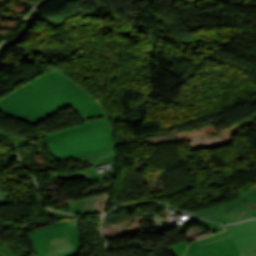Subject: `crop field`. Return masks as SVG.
Returning <instances> with one entry per match:
<instances>
[{
    "instance_id": "obj_1",
    "label": "crop field",
    "mask_w": 256,
    "mask_h": 256,
    "mask_svg": "<svg viewBox=\"0 0 256 256\" xmlns=\"http://www.w3.org/2000/svg\"><path fill=\"white\" fill-rule=\"evenodd\" d=\"M96 100L54 68L2 98L0 111L35 126L70 106L86 123L43 135L50 154L64 162L116 149L108 116Z\"/></svg>"
},
{
    "instance_id": "obj_2",
    "label": "crop field",
    "mask_w": 256,
    "mask_h": 256,
    "mask_svg": "<svg viewBox=\"0 0 256 256\" xmlns=\"http://www.w3.org/2000/svg\"><path fill=\"white\" fill-rule=\"evenodd\" d=\"M26 236L37 256H77L81 249L76 220L59 222L26 233Z\"/></svg>"
},
{
    "instance_id": "obj_3",
    "label": "crop field",
    "mask_w": 256,
    "mask_h": 256,
    "mask_svg": "<svg viewBox=\"0 0 256 256\" xmlns=\"http://www.w3.org/2000/svg\"><path fill=\"white\" fill-rule=\"evenodd\" d=\"M72 159L91 164V165H93V167L108 162L112 167L111 175L113 177L116 176V170H115L116 150L110 151V152L86 155V156H81V157H75ZM52 177L59 178V179H86L88 184H98V183H102V182H109L110 180H112L109 177L107 172L96 175L94 173V170H87L85 172L74 173V174H70L68 176L53 175Z\"/></svg>"
},
{
    "instance_id": "obj_4",
    "label": "crop field",
    "mask_w": 256,
    "mask_h": 256,
    "mask_svg": "<svg viewBox=\"0 0 256 256\" xmlns=\"http://www.w3.org/2000/svg\"><path fill=\"white\" fill-rule=\"evenodd\" d=\"M184 256H240L231 236L200 246L190 243Z\"/></svg>"
},
{
    "instance_id": "obj_5",
    "label": "crop field",
    "mask_w": 256,
    "mask_h": 256,
    "mask_svg": "<svg viewBox=\"0 0 256 256\" xmlns=\"http://www.w3.org/2000/svg\"><path fill=\"white\" fill-rule=\"evenodd\" d=\"M238 199L206 209L193 211L192 214L212 221L230 211H233L250 202L256 203V185L237 193Z\"/></svg>"
},
{
    "instance_id": "obj_6",
    "label": "crop field",
    "mask_w": 256,
    "mask_h": 256,
    "mask_svg": "<svg viewBox=\"0 0 256 256\" xmlns=\"http://www.w3.org/2000/svg\"><path fill=\"white\" fill-rule=\"evenodd\" d=\"M224 227L231 234L241 255L256 251V220H249Z\"/></svg>"
},
{
    "instance_id": "obj_7",
    "label": "crop field",
    "mask_w": 256,
    "mask_h": 256,
    "mask_svg": "<svg viewBox=\"0 0 256 256\" xmlns=\"http://www.w3.org/2000/svg\"><path fill=\"white\" fill-rule=\"evenodd\" d=\"M105 194H100L80 200H71L67 201L71 210L69 212L77 213V214H94L99 213L98 211V200L99 197Z\"/></svg>"
},
{
    "instance_id": "obj_8",
    "label": "crop field",
    "mask_w": 256,
    "mask_h": 256,
    "mask_svg": "<svg viewBox=\"0 0 256 256\" xmlns=\"http://www.w3.org/2000/svg\"><path fill=\"white\" fill-rule=\"evenodd\" d=\"M256 217V204H248L237 209L221 218L215 219L217 223H235L244 219Z\"/></svg>"
},
{
    "instance_id": "obj_9",
    "label": "crop field",
    "mask_w": 256,
    "mask_h": 256,
    "mask_svg": "<svg viewBox=\"0 0 256 256\" xmlns=\"http://www.w3.org/2000/svg\"><path fill=\"white\" fill-rule=\"evenodd\" d=\"M186 246V243L180 242L172 247H169L168 249L174 256H183Z\"/></svg>"
},
{
    "instance_id": "obj_10",
    "label": "crop field",
    "mask_w": 256,
    "mask_h": 256,
    "mask_svg": "<svg viewBox=\"0 0 256 256\" xmlns=\"http://www.w3.org/2000/svg\"><path fill=\"white\" fill-rule=\"evenodd\" d=\"M226 236H229V233L225 230L222 233H218V234H216L214 236H211V237L199 240V243H200V245H202V244H205V243H208V242H211V241H214V240L226 237Z\"/></svg>"
},
{
    "instance_id": "obj_11",
    "label": "crop field",
    "mask_w": 256,
    "mask_h": 256,
    "mask_svg": "<svg viewBox=\"0 0 256 256\" xmlns=\"http://www.w3.org/2000/svg\"><path fill=\"white\" fill-rule=\"evenodd\" d=\"M46 213L56 219H64V218H72V217H76V216H72V215H68V214H63V213H58V212H54L51 210H46Z\"/></svg>"
},
{
    "instance_id": "obj_12",
    "label": "crop field",
    "mask_w": 256,
    "mask_h": 256,
    "mask_svg": "<svg viewBox=\"0 0 256 256\" xmlns=\"http://www.w3.org/2000/svg\"><path fill=\"white\" fill-rule=\"evenodd\" d=\"M8 203H10L9 200L7 199L6 195L0 188V206L8 204Z\"/></svg>"
},
{
    "instance_id": "obj_13",
    "label": "crop field",
    "mask_w": 256,
    "mask_h": 256,
    "mask_svg": "<svg viewBox=\"0 0 256 256\" xmlns=\"http://www.w3.org/2000/svg\"><path fill=\"white\" fill-rule=\"evenodd\" d=\"M242 256H256V252H254V253H249V254H245V255H242Z\"/></svg>"
}]
</instances>
